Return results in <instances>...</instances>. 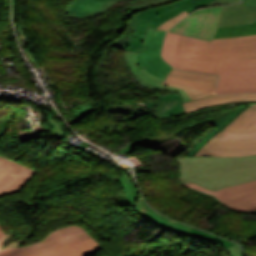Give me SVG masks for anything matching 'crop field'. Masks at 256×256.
<instances>
[{
    "label": "crop field",
    "mask_w": 256,
    "mask_h": 256,
    "mask_svg": "<svg viewBox=\"0 0 256 256\" xmlns=\"http://www.w3.org/2000/svg\"><path fill=\"white\" fill-rule=\"evenodd\" d=\"M222 8L216 7L196 11L185 17L170 31L211 41L217 28Z\"/></svg>",
    "instance_id": "7"
},
{
    "label": "crop field",
    "mask_w": 256,
    "mask_h": 256,
    "mask_svg": "<svg viewBox=\"0 0 256 256\" xmlns=\"http://www.w3.org/2000/svg\"><path fill=\"white\" fill-rule=\"evenodd\" d=\"M112 166L116 167L112 164ZM123 175L122 178L119 179V182L125 192V196L127 197L128 204L133 207V199L136 194H139L136 190L135 186L131 183L130 179L128 178L127 174L124 173L120 168L116 167Z\"/></svg>",
    "instance_id": "22"
},
{
    "label": "crop field",
    "mask_w": 256,
    "mask_h": 256,
    "mask_svg": "<svg viewBox=\"0 0 256 256\" xmlns=\"http://www.w3.org/2000/svg\"><path fill=\"white\" fill-rule=\"evenodd\" d=\"M12 6H13V21L15 23V19H16V0H12Z\"/></svg>",
    "instance_id": "43"
},
{
    "label": "crop field",
    "mask_w": 256,
    "mask_h": 256,
    "mask_svg": "<svg viewBox=\"0 0 256 256\" xmlns=\"http://www.w3.org/2000/svg\"><path fill=\"white\" fill-rule=\"evenodd\" d=\"M143 107L144 106H142V108H139L138 110H134V111H129V109H126V108H124V109H112L110 111H112L114 114L115 113H120V114L132 113L133 116L127 117V118H123L122 120H118V121H128V120L136 119L135 117L140 114V112L142 111ZM118 121H116V122H118Z\"/></svg>",
    "instance_id": "35"
},
{
    "label": "crop field",
    "mask_w": 256,
    "mask_h": 256,
    "mask_svg": "<svg viewBox=\"0 0 256 256\" xmlns=\"http://www.w3.org/2000/svg\"><path fill=\"white\" fill-rule=\"evenodd\" d=\"M137 211L140 212L141 214H143L145 217L150 218V219L162 224L163 226H165L169 229H172V230H176L180 233L187 234L188 231L191 229V227H189V226L169 220V219L157 214L156 212L152 211L146 205L142 195L137 203Z\"/></svg>",
    "instance_id": "14"
},
{
    "label": "crop field",
    "mask_w": 256,
    "mask_h": 256,
    "mask_svg": "<svg viewBox=\"0 0 256 256\" xmlns=\"http://www.w3.org/2000/svg\"><path fill=\"white\" fill-rule=\"evenodd\" d=\"M166 81L174 82V83H177V84H181V85H184V86L196 88V89L214 94L215 87H213V86L200 84V83H196V82H191V81H187V80H183V79H178V78H174V77H170V76L166 77Z\"/></svg>",
    "instance_id": "26"
},
{
    "label": "crop field",
    "mask_w": 256,
    "mask_h": 256,
    "mask_svg": "<svg viewBox=\"0 0 256 256\" xmlns=\"http://www.w3.org/2000/svg\"><path fill=\"white\" fill-rule=\"evenodd\" d=\"M228 250L230 251L232 256H242L241 249L237 244L231 246L230 248H228Z\"/></svg>",
    "instance_id": "36"
},
{
    "label": "crop field",
    "mask_w": 256,
    "mask_h": 256,
    "mask_svg": "<svg viewBox=\"0 0 256 256\" xmlns=\"http://www.w3.org/2000/svg\"><path fill=\"white\" fill-rule=\"evenodd\" d=\"M139 26H141V23L136 17V15L132 16L128 23V28L126 32L111 46L127 49L130 43L135 39Z\"/></svg>",
    "instance_id": "20"
},
{
    "label": "crop field",
    "mask_w": 256,
    "mask_h": 256,
    "mask_svg": "<svg viewBox=\"0 0 256 256\" xmlns=\"http://www.w3.org/2000/svg\"><path fill=\"white\" fill-rule=\"evenodd\" d=\"M256 33V22L254 24L239 25L234 27H218L213 38L239 36Z\"/></svg>",
    "instance_id": "19"
},
{
    "label": "crop field",
    "mask_w": 256,
    "mask_h": 256,
    "mask_svg": "<svg viewBox=\"0 0 256 256\" xmlns=\"http://www.w3.org/2000/svg\"><path fill=\"white\" fill-rule=\"evenodd\" d=\"M90 144H88L87 142H83V143H81L78 147H80V148H82L83 150L87 147V146H89Z\"/></svg>",
    "instance_id": "45"
},
{
    "label": "crop field",
    "mask_w": 256,
    "mask_h": 256,
    "mask_svg": "<svg viewBox=\"0 0 256 256\" xmlns=\"http://www.w3.org/2000/svg\"><path fill=\"white\" fill-rule=\"evenodd\" d=\"M188 188L214 197L217 202L241 213L256 212V180L241 185L209 191L194 183L182 184Z\"/></svg>",
    "instance_id": "5"
},
{
    "label": "crop field",
    "mask_w": 256,
    "mask_h": 256,
    "mask_svg": "<svg viewBox=\"0 0 256 256\" xmlns=\"http://www.w3.org/2000/svg\"><path fill=\"white\" fill-rule=\"evenodd\" d=\"M238 2H240V0H215V1L207 4L206 6H208V5H216V4H223V3L233 4V3H238Z\"/></svg>",
    "instance_id": "38"
},
{
    "label": "crop field",
    "mask_w": 256,
    "mask_h": 256,
    "mask_svg": "<svg viewBox=\"0 0 256 256\" xmlns=\"http://www.w3.org/2000/svg\"><path fill=\"white\" fill-rule=\"evenodd\" d=\"M175 6H177V5L175 3H173L170 5H166V6L149 9V10L138 13L137 17L139 18V20L141 21L142 24H145L149 20H151L153 17L170 10V9L174 8Z\"/></svg>",
    "instance_id": "24"
},
{
    "label": "crop field",
    "mask_w": 256,
    "mask_h": 256,
    "mask_svg": "<svg viewBox=\"0 0 256 256\" xmlns=\"http://www.w3.org/2000/svg\"><path fill=\"white\" fill-rule=\"evenodd\" d=\"M174 1H176V0H141L139 2L133 3V4L128 5V6H125L122 9L123 10L130 9L134 13H136L140 10H144V9H148V8H152V7H156V6H160V5H164V4H168V3H171V2H174Z\"/></svg>",
    "instance_id": "23"
},
{
    "label": "crop field",
    "mask_w": 256,
    "mask_h": 256,
    "mask_svg": "<svg viewBox=\"0 0 256 256\" xmlns=\"http://www.w3.org/2000/svg\"><path fill=\"white\" fill-rule=\"evenodd\" d=\"M102 129H104V130H106V131H114V130H121V129H123V127L121 126V127H119V128H112V127H107V128H105V127H103Z\"/></svg>",
    "instance_id": "44"
},
{
    "label": "crop field",
    "mask_w": 256,
    "mask_h": 256,
    "mask_svg": "<svg viewBox=\"0 0 256 256\" xmlns=\"http://www.w3.org/2000/svg\"><path fill=\"white\" fill-rule=\"evenodd\" d=\"M141 71H142V73L144 74L145 77H147L148 79H150V80H152V81H155V82H157V83H159V84H161V82L164 80V79L157 78V77L151 75V74L148 73L145 69H142Z\"/></svg>",
    "instance_id": "37"
},
{
    "label": "crop field",
    "mask_w": 256,
    "mask_h": 256,
    "mask_svg": "<svg viewBox=\"0 0 256 256\" xmlns=\"http://www.w3.org/2000/svg\"><path fill=\"white\" fill-rule=\"evenodd\" d=\"M146 29H147L146 25L139 27V33H138L136 39L131 43V45L129 46V48L127 50L135 51L141 45L142 40L146 33Z\"/></svg>",
    "instance_id": "31"
},
{
    "label": "crop field",
    "mask_w": 256,
    "mask_h": 256,
    "mask_svg": "<svg viewBox=\"0 0 256 256\" xmlns=\"http://www.w3.org/2000/svg\"><path fill=\"white\" fill-rule=\"evenodd\" d=\"M213 0H181L175 2L177 5H179L181 8H183L187 12H191L196 10L197 8L211 2Z\"/></svg>",
    "instance_id": "28"
},
{
    "label": "crop field",
    "mask_w": 256,
    "mask_h": 256,
    "mask_svg": "<svg viewBox=\"0 0 256 256\" xmlns=\"http://www.w3.org/2000/svg\"><path fill=\"white\" fill-rule=\"evenodd\" d=\"M256 100L255 94H235V95H222V96H213L208 97L192 102L183 103L185 112L195 111L198 108H203L212 105L239 102V101H250Z\"/></svg>",
    "instance_id": "12"
},
{
    "label": "crop field",
    "mask_w": 256,
    "mask_h": 256,
    "mask_svg": "<svg viewBox=\"0 0 256 256\" xmlns=\"http://www.w3.org/2000/svg\"><path fill=\"white\" fill-rule=\"evenodd\" d=\"M134 78L140 82L141 86L150 89L159 88L157 86L146 84L145 82L137 78V76H135ZM175 93L176 92L173 91L172 93H168L165 95H152L159 98V100L148 102L147 109L144 111L143 114H149L159 119H166L176 115L185 114L181 101V96L179 94L176 95Z\"/></svg>",
    "instance_id": "9"
},
{
    "label": "crop field",
    "mask_w": 256,
    "mask_h": 256,
    "mask_svg": "<svg viewBox=\"0 0 256 256\" xmlns=\"http://www.w3.org/2000/svg\"><path fill=\"white\" fill-rule=\"evenodd\" d=\"M256 21V6L244 7L243 3L225 6L218 26H234Z\"/></svg>",
    "instance_id": "11"
},
{
    "label": "crop field",
    "mask_w": 256,
    "mask_h": 256,
    "mask_svg": "<svg viewBox=\"0 0 256 256\" xmlns=\"http://www.w3.org/2000/svg\"><path fill=\"white\" fill-rule=\"evenodd\" d=\"M28 58L30 59V61L34 64L35 67H38L35 56L33 54H29V52L27 50H25Z\"/></svg>",
    "instance_id": "41"
},
{
    "label": "crop field",
    "mask_w": 256,
    "mask_h": 256,
    "mask_svg": "<svg viewBox=\"0 0 256 256\" xmlns=\"http://www.w3.org/2000/svg\"><path fill=\"white\" fill-rule=\"evenodd\" d=\"M245 6L256 5V0H242Z\"/></svg>",
    "instance_id": "42"
},
{
    "label": "crop field",
    "mask_w": 256,
    "mask_h": 256,
    "mask_svg": "<svg viewBox=\"0 0 256 256\" xmlns=\"http://www.w3.org/2000/svg\"><path fill=\"white\" fill-rule=\"evenodd\" d=\"M256 92V61L222 63L217 94Z\"/></svg>",
    "instance_id": "4"
},
{
    "label": "crop field",
    "mask_w": 256,
    "mask_h": 256,
    "mask_svg": "<svg viewBox=\"0 0 256 256\" xmlns=\"http://www.w3.org/2000/svg\"><path fill=\"white\" fill-rule=\"evenodd\" d=\"M17 29V33H18V38L21 44V47H25L24 43L21 41V39L26 38L25 35L22 33L20 27H15ZM27 39V38H26Z\"/></svg>",
    "instance_id": "40"
},
{
    "label": "crop field",
    "mask_w": 256,
    "mask_h": 256,
    "mask_svg": "<svg viewBox=\"0 0 256 256\" xmlns=\"http://www.w3.org/2000/svg\"><path fill=\"white\" fill-rule=\"evenodd\" d=\"M179 37L180 35L168 32L165 37L163 51H162L163 59L174 67L180 59L176 54V47H177Z\"/></svg>",
    "instance_id": "17"
},
{
    "label": "crop field",
    "mask_w": 256,
    "mask_h": 256,
    "mask_svg": "<svg viewBox=\"0 0 256 256\" xmlns=\"http://www.w3.org/2000/svg\"><path fill=\"white\" fill-rule=\"evenodd\" d=\"M202 234H203V231H200V230H197V229H194V228H192L190 230V232L188 233V235L196 236V237H199V238H201Z\"/></svg>",
    "instance_id": "39"
},
{
    "label": "crop field",
    "mask_w": 256,
    "mask_h": 256,
    "mask_svg": "<svg viewBox=\"0 0 256 256\" xmlns=\"http://www.w3.org/2000/svg\"><path fill=\"white\" fill-rule=\"evenodd\" d=\"M188 13L185 11L177 15L176 17L170 19L166 23L162 24L158 29L168 31L171 27H173L177 22L183 19Z\"/></svg>",
    "instance_id": "34"
},
{
    "label": "crop field",
    "mask_w": 256,
    "mask_h": 256,
    "mask_svg": "<svg viewBox=\"0 0 256 256\" xmlns=\"http://www.w3.org/2000/svg\"><path fill=\"white\" fill-rule=\"evenodd\" d=\"M177 54L181 59L175 68L219 75L221 62L256 60V35L212 42L181 36Z\"/></svg>",
    "instance_id": "1"
},
{
    "label": "crop field",
    "mask_w": 256,
    "mask_h": 256,
    "mask_svg": "<svg viewBox=\"0 0 256 256\" xmlns=\"http://www.w3.org/2000/svg\"><path fill=\"white\" fill-rule=\"evenodd\" d=\"M170 76L178 77V78H183L187 80H192L200 83H205L209 85H216L218 76H212L208 74H199V73H191V72H185V71H180L177 69H172V71L169 73Z\"/></svg>",
    "instance_id": "21"
},
{
    "label": "crop field",
    "mask_w": 256,
    "mask_h": 256,
    "mask_svg": "<svg viewBox=\"0 0 256 256\" xmlns=\"http://www.w3.org/2000/svg\"><path fill=\"white\" fill-rule=\"evenodd\" d=\"M162 84L171 85L173 87H177V88H181V89L185 90L187 92V94L191 97L192 100L212 95V94H208V93L196 90V89L184 87V86L173 84V83L166 82V81H163Z\"/></svg>",
    "instance_id": "29"
},
{
    "label": "crop field",
    "mask_w": 256,
    "mask_h": 256,
    "mask_svg": "<svg viewBox=\"0 0 256 256\" xmlns=\"http://www.w3.org/2000/svg\"><path fill=\"white\" fill-rule=\"evenodd\" d=\"M184 10H182L179 6L152 19L151 21H149L146 25L152 26V27H159L162 23L166 22L168 19L174 17L175 15H177L178 13L182 12Z\"/></svg>",
    "instance_id": "27"
},
{
    "label": "crop field",
    "mask_w": 256,
    "mask_h": 256,
    "mask_svg": "<svg viewBox=\"0 0 256 256\" xmlns=\"http://www.w3.org/2000/svg\"><path fill=\"white\" fill-rule=\"evenodd\" d=\"M220 140L245 141L256 140V130L249 132H223Z\"/></svg>",
    "instance_id": "25"
},
{
    "label": "crop field",
    "mask_w": 256,
    "mask_h": 256,
    "mask_svg": "<svg viewBox=\"0 0 256 256\" xmlns=\"http://www.w3.org/2000/svg\"><path fill=\"white\" fill-rule=\"evenodd\" d=\"M100 250H102L100 245L94 239H92L72 247L39 256H87Z\"/></svg>",
    "instance_id": "15"
},
{
    "label": "crop field",
    "mask_w": 256,
    "mask_h": 256,
    "mask_svg": "<svg viewBox=\"0 0 256 256\" xmlns=\"http://www.w3.org/2000/svg\"><path fill=\"white\" fill-rule=\"evenodd\" d=\"M254 129H256V119H255V121L252 123V125L249 127V129L247 131L254 130Z\"/></svg>",
    "instance_id": "46"
},
{
    "label": "crop field",
    "mask_w": 256,
    "mask_h": 256,
    "mask_svg": "<svg viewBox=\"0 0 256 256\" xmlns=\"http://www.w3.org/2000/svg\"><path fill=\"white\" fill-rule=\"evenodd\" d=\"M255 118L256 105H253L229 124L225 131H246Z\"/></svg>",
    "instance_id": "18"
},
{
    "label": "crop field",
    "mask_w": 256,
    "mask_h": 256,
    "mask_svg": "<svg viewBox=\"0 0 256 256\" xmlns=\"http://www.w3.org/2000/svg\"><path fill=\"white\" fill-rule=\"evenodd\" d=\"M96 103L93 102L89 105H83V106H78L74 109H72V111L74 112L75 114V117L78 119L79 117L83 116L84 114L90 112L92 109H94L96 107Z\"/></svg>",
    "instance_id": "32"
},
{
    "label": "crop field",
    "mask_w": 256,
    "mask_h": 256,
    "mask_svg": "<svg viewBox=\"0 0 256 256\" xmlns=\"http://www.w3.org/2000/svg\"><path fill=\"white\" fill-rule=\"evenodd\" d=\"M165 33L148 26L143 44L136 50L139 52V68H145L148 72L162 78H165L172 69L160 56Z\"/></svg>",
    "instance_id": "6"
},
{
    "label": "crop field",
    "mask_w": 256,
    "mask_h": 256,
    "mask_svg": "<svg viewBox=\"0 0 256 256\" xmlns=\"http://www.w3.org/2000/svg\"><path fill=\"white\" fill-rule=\"evenodd\" d=\"M245 108H247V106L238 107V110H234L230 113L223 115L218 119L211 121L210 123L216 126L217 128L213 130L211 133H206L203 139H198L197 143L194 145V148L190 149L187 153H185V156H192L197 151H199L210 138H212L218 132L223 130L226 127V125H228L233 119H235L239 114H241Z\"/></svg>",
    "instance_id": "13"
},
{
    "label": "crop field",
    "mask_w": 256,
    "mask_h": 256,
    "mask_svg": "<svg viewBox=\"0 0 256 256\" xmlns=\"http://www.w3.org/2000/svg\"><path fill=\"white\" fill-rule=\"evenodd\" d=\"M137 56H138V53H136V52L126 51V56H125L126 64H127L128 68H131V70L134 73V75H138L140 79H142L143 81H145L148 84L157 85V86H160V88H166V89H170V90L179 91L180 95L182 96L183 102L190 101V98L185 93V91L173 88L171 86L159 85V84H157L155 82H152V81L146 79L143 76V74L140 72L139 68H138Z\"/></svg>",
    "instance_id": "16"
},
{
    "label": "crop field",
    "mask_w": 256,
    "mask_h": 256,
    "mask_svg": "<svg viewBox=\"0 0 256 256\" xmlns=\"http://www.w3.org/2000/svg\"><path fill=\"white\" fill-rule=\"evenodd\" d=\"M181 183L194 182L210 190L256 179V155L239 157H182Z\"/></svg>",
    "instance_id": "3"
},
{
    "label": "crop field",
    "mask_w": 256,
    "mask_h": 256,
    "mask_svg": "<svg viewBox=\"0 0 256 256\" xmlns=\"http://www.w3.org/2000/svg\"><path fill=\"white\" fill-rule=\"evenodd\" d=\"M201 239H206L208 241H212V242H214V243H216V244H218V245H220V246H222L224 248H228L229 246L235 244V243L228 242V241H225L223 239H220V238H218L216 236H213L211 234H208L206 232L204 233V235H203V237Z\"/></svg>",
    "instance_id": "33"
},
{
    "label": "crop field",
    "mask_w": 256,
    "mask_h": 256,
    "mask_svg": "<svg viewBox=\"0 0 256 256\" xmlns=\"http://www.w3.org/2000/svg\"><path fill=\"white\" fill-rule=\"evenodd\" d=\"M46 113V112H45ZM47 117H48V123H49V126L52 127L53 131H54V135L63 140V137H64V132H63V129H62V126L60 123L56 122L55 120H53L52 116H50L49 114H47Z\"/></svg>",
    "instance_id": "30"
},
{
    "label": "crop field",
    "mask_w": 256,
    "mask_h": 256,
    "mask_svg": "<svg viewBox=\"0 0 256 256\" xmlns=\"http://www.w3.org/2000/svg\"><path fill=\"white\" fill-rule=\"evenodd\" d=\"M221 134L222 132L209 140L205 146L193 156H239L256 154V141H218Z\"/></svg>",
    "instance_id": "8"
},
{
    "label": "crop field",
    "mask_w": 256,
    "mask_h": 256,
    "mask_svg": "<svg viewBox=\"0 0 256 256\" xmlns=\"http://www.w3.org/2000/svg\"><path fill=\"white\" fill-rule=\"evenodd\" d=\"M120 0H73L65 9L71 18H91L110 8Z\"/></svg>",
    "instance_id": "10"
},
{
    "label": "crop field",
    "mask_w": 256,
    "mask_h": 256,
    "mask_svg": "<svg viewBox=\"0 0 256 256\" xmlns=\"http://www.w3.org/2000/svg\"><path fill=\"white\" fill-rule=\"evenodd\" d=\"M36 169L0 156V197L20 191L34 177ZM4 232L0 226V245ZM82 226L70 225L53 230L42 241L18 248L0 249V256H35L92 239Z\"/></svg>",
    "instance_id": "2"
}]
</instances>
